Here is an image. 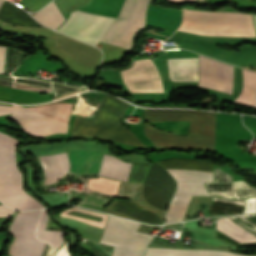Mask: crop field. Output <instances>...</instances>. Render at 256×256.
<instances>
[{"mask_svg": "<svg viewBox=\"0 0 256 256\" xmlns=\"http://www.w3.org/2000/svg\"><path fill=\"white\" fill-rule=\"evenodd\" d=\"M216 113L192 110H145L149 121L191 120L190 136L167 135L145 126L146 136L154 146L214 149Z\"/></svg>", "mask_w": 256, "mask_h": 256, "instance_id": "8a807250", "label": "crop field"}, {"mask_svg": "<svg viewBox=\"0 0 256 256\" xmlns=\"http://www.w3.org/2000/svg\"><path fill=\"white\" fill-rule=\"evenodd\" d=\"M128 105L107 95L98 108L94 122L75 119L71 129L72 136L97 137L114 142L144 146L132 131L123 128L120 124L121 117Z\"/></svg>", "mask_w": 256, "mask_h": 256, "instance_id": "ac0d7876", "label": "crop field"}, {"mask_svg": "<svg viewBox=\"0 0 256 256\" xmlns=\"http://www.w3.org/2000/svg\"><path fill=\"white\" fill-rule=\"evenodd\" d=\"M19 140L0 132V201L16 210L42 208L21 189L23 179L16 167L18 156L13 147Z\"/></svg>", "mask_w": 256, "mask_h": 256, "instance_id": "34b2d1b8", "label": "crop field"}, {"mask_svg": "<svg viewBox=\"0 0 256 256\" xmlns=\"http://www.w3.org/2000/svg\"><path fill=\"white\" fill-rule=\"evenodd\" d=\"M150 0H123L116 19L100 41L132 50L133 36L145 24L147 5Z\"/></svg>", "mask_w": 256, "mask_h": 256, "instance_id": "412701ff", "label": "crop field"}, {"mask_svg": "<svg viewBox=\"0 0 256 256\" xmlns=\"http://www.w3.org/2000/svg\"><path fill=\"white\" fill-rule=\"evenodd\" d=\"M119 218L110 216L100 242L108 243ZM139 224L119 219L109 241L114 246L112 256H143L152 236L136 232Z\"/></svg>", "mask_w": 256, "mask_h": 256, "instance_id": "f4fd0767", "label": "crop field"}, {"mask_svg": "<svg viewBox=\"0 0 256 256\" xmlns=\"http://www.w3.org/2000/svg\"><path fill=\"white\" fill-rule=\"evenodd\" d=\"M178 188L165 214L166 223L182 221L192 195H210L203 183L213 182V170L169 172Z\"/></svg>", "mask_w": 256, "mask_h": 256, "instance_id": "dd49c442", "label": "crop field"}, {"mask_svg": "<svg viewBox=\"0 0 256 256\" xmlns=\"http://www.w3.org/2000/svg\"><path fill=\"white\" fill-rule=\"evenodd\" d=\"M41 210L17 213L9 229L14 241L9 250L11 256H41L44 242L36 240L35 226Z\"/></svg>", "mask_w": 256, "mask_h": 256, "instance_id": "e52e79f7", "label": "crop field"}, {"mask_svg": "<svg viewBox=\"0 0 256 256\" xmlns=\"http://www.w3.org/2000/svg\"><path fill=\"white\" fill-rule=\"evenodd\" d=\"M112 21V18L76 10L58 31L95 46Z\"/></svg>", "mask_w": 256, "mask_h": 256, "instance_id": "d8731c3e", "label": "crop field"}, {"mask_svg": "<svg viewBox=\"0 0 256 256\" xmlns=\"http://www.w3.org/2000/svg\"><path fill=\"white\" fill-rule=\"evenodd\" d=\"M11 118L19 123L30 136H45L56 132L67 133L68 129L67 123L15 105L12 108Z\"/></svg>", "mask_w": 256, "mask_h": 256, "instance_id": "5a996713", "label": "crop field"}, {"mask_svg": "<svg viewBox=\"0 0 256 256\" xmlns=\"http://www.w3.org/2000/svg\"><path fill=\"white\" fill-rule=\"evenodd\" d=\"M233 69L230 66L199 56V85L230 93Z\"/></svg>", "mask_w": 256, "mask_h": 256, "instance_id": "3316defc", "label": "crop field"}, {"mask_svg": "<svg viewBox=\"0 0 256 256\" xmlns=\"http://www.w3.org/2000/svg\"><path fill=\"white\" fill-rule=\"evenodd\" d=\"M67 152L71 160V170L68 175H97L102 152L83 150H71Z\"/></svg>", "mask_w": 256, "mask_h": 256, "instance_id": "28ad6ade", "label": "crop field"}, {"mask_svg": "<svg viewBox=\"0 0 256 256\" xmlns=\"http://www.w3.org/2000/svg\"><path fill=\"white\" fill-rule=\"evenodd\" d=\"M198 58L168 59L170 79L173 82L198 81Z\"/></svg>", "mask_w": 256, "mask_h": 256, "instance_id": "d1516ede", "label": "crop field"}, {"mask_svg": "<svg viewBox=\"0 0 256 256\" xmlns=\"http://www.w3.org/2000/svg\"><path fill=\"white\" fill-rule=\"evenodd\" d=\"M45 172V183H53L69 172L67 153L52 156H40Z\"/></svg>", "mask_w": 256, "mask_h": 256, "instance_id": "22f410ed", "label": "crop field"}, {"mask_svg": "<svg viewBox=\"0 0 256 256\" xmlns=\"http://www.w3.org/2000/svg\"><path fill=\"white\" fill-rule=\"evenodd\" d=\"M145 256H249L232 252L209 250H178L148 247ZM256 256V255H255Z\"/></svg>", "mask_w": 256, "mask_h": 256, "instance_id": "cbeb9de0", "label": "crop field"}, {"mask_svg": "<svg viewBox=\"0 0 256 256\" xmlns=\"http://www.w3.org/2000/svg\"><path fill=\"white\" fill-rule=\"evenodd\" d=\"M131 165L104 154L99 175L127 181Z\"/></svg>", "mask_w": 256, "mask_h": 256, "instance_id": "5142ce71", "label": "crop field"}, {"mask_svg": "<svg viewBox=\"0 0 256 256\" xmlns=\"http://www.w3.org/2000/svg\"><path fill=\"white\" fill-rule=\"evenodd\" d=\"M72 105L73 104H68V103H53V104H47V105L27 107V108L38 111L40 113L46 114L48 116L54 117L56 119H59L68 123Z\"/></svg>", "mask_w": 256, "mask_h": 256, "instance_id": "d9b57169", "label": "crop field"}, {"mask_svg": "<svg viewBox=\"0 0 256 256\" xmlns=\"http://www.w3.org/2000/svg\"><path fill=\"white\" fill-rule=\"evenodd\" d=\"M33 18L53 29H55L65 20L60 11L57 9L54 1L46 8L37 12Z\"/></svg>", "mask_w": 256, "mask_h": 256, "instance_id": "733c2abd", "label": "crop field"}, {"mask_svg": "<svg viewBox=\"0 0 256 256\" xmlns=\"http://www.w3.org/2000/svg\"><path fill=\"white\" fill-rule=\"evenodd\" d=\"M243 86L239 97L235 101L254 106V94L256 92V73L242 70Z\"/></svg>", "mask_w": 256, "mask_h": 256, "instance_id": "4a817a6b", "label": "crop field"}, {"mask_svg": "<svg viewBox=\"0 0 256 256\" xmlns=\"http://www.w3.org/2000/svg\"><path fill=\"white\" fill-rule=\"evenodd\" d=\"M47 221H48L47 210H44L40 220L39 227H38L37 237L39 239L48 241L52 245V247L56 249L62 243L63 232L45 230Z\"/></svg>", "mask_w": 256, "mask_h": 256, "instance_id": "bc2a9ffb", "label": "crop field"}, {"mask_svg": "<svg viewBox=\"0 0 256 256\" xmlns=\"http://www.w3.org/2000/svg\"><path fill=\"white\" fill-rule=\"evenodd\" d=\"M13 214V211L5 208L4 206H0V217H7Z\"/></svg>", "mask_w": 256, "mask_h": 256, "instance_id": "214f88e0", "label": "crop field"}, {"mask_svg": "<svg viewBox=\"0 0 256 256\" xmlns=\"http://www.w3.org/2000/svg\"><path fill=\"white\" fill-rule=\"evenodd\" d=\"M11 111V107L0 105V115L9 114Z\"/></svg>", "mask_w": 256, "mask_h": 256, "instance_id": "92a150f3", "label": "crop field"}, {"mask_svg": "<svg viewBox=\"0 0 256 256\" xmlns=\"http://www.w3.org/2000/svg\"><path fill=\"white\" fill-rule=\"evenodd\" d=\"M253 17H254V21H255V25H256V16H255V15H253Z\"/></svg>", "mask_w": 256, "mask_h": 256, "instance_id": "dafd665d", "label": "crop field"}, {"mask_svg": "<svg viewBox=\"0 0 256 256\" xmlns=\"http://www.w3.org/2000/svg\"><path fill=\"white\" fill-rule=\"evenodd\" d=\"M255 106H256V95H255Z\"/></svg>", "mask_w": 256, "mask_h": 256, "instance_id": "00972430", "label": "crop field"}, {"mask_svg": "<svg viewBox=\"0 0 256 256\" xmlns=\"http://www.w3.org/2000/svg\"><path fill=\"white\" fill-rule=\"evenodd\" d=\"M3 0H0V4L2 3Z\"/></svg>", "mask_w": 256, "mask_h": 256, "instance_id": "a9b5d70f", "label": "crop field"}]
</instances>
